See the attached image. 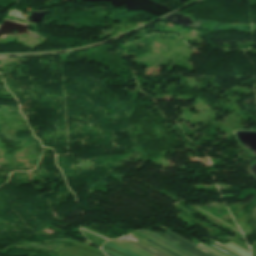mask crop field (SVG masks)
<instances>
[{
  "instance_id": "1",
  "label": "crop field",
  "mask_w": 256,
  "mask_h": 256,
  "mask_svg": "<svg viewBox=\"0 0 256 256\" xmlns=\"http://www.w3.org/2000/svg\"><path fill=\"white\" fill-rule=\"evenodd\" d=\"M130 235L131 237L125 241L127 243H130L154 256H172L170 254H168L167 252L147 243L146 241L134 236V235H131V234H128Z\"/></svg>"
},
{
  "instance_id": "2",
  "label": "crop field",
  "mask_w": 256,
  "mask_h": 256,
  "mask_svg": "<svg viewBox=\"0 0 256 256\" xmlns=\"http://www.w3.org/2000/svg\"><path fill=\"white\" fill-rule=\"evenodd\" d=\"M150 231H152L153 233H155V234H157V235H159V236H161V237L171 241L172 243H174V244H176V245H178V246L188 250L189 252H191V253H193V254H195L197 256H210V255L200 251L199 249L193 247L192 245L188 244L187 242L177 238L176 236H174V235H172V234H170L168 232H167L168 235H166L164 233L159 234V233H157V232H155L153 230H150Z\"/></svg>"
},
{
  "instance_id": "3",
  "label": "crop field",
  "mask_w": 256,
  "mask_h": 256,
  "mask_svg": "<svg viewBox=\"0 0 256 256\" xmlns=\"http://www.w3.org/2000/svg\"><path fill=\"white\" fill-rule=\"evenodd\" d=\"M105 246H108V247H111V248H113V249L119 250V251H121V252H124V253L130 255V256H139V255H137V254H135V253H133V252H131V251H129V250H127V249L121 247V246L112 244V243H110V242L105 243ZM102 249H103V248H102ZM103 250L105 251L106 254H108V255H110V256H120V255H117V254H115V253H113V252H110V251H108V250H106V249H103Z\"/></svg>"
},
{
  "instance_id": "4",
  "label": "crop field",
  "mask_w": 256,
  "mask_h": 256,
  "mask_svg": "<svg viewBox=\"0 0 256 256\" xmlns=\"http://www.w3.org/2000/svg\"><path fill=\"white\" fill-rule=\"evenodd\" d=\"M224 245H226V246H228V247H230V248L236 250L237 252H239V253H241V254H243V255H245V256H250V252H248V251H246V250L240 248L239 246H237V245H235V244H233V243H231V242L228 243V244H224Z\"/></svg>"
},
{
  "instance_id": "5",
  "label": "crop field",
  "mask_w": 256,
  "mask_h": 256,
  "mask_svg": "<svg viewBox=\"0 0 256 256\" xmlns=\"http://www.w3.org/2000/svg\"><path fill=\"white\" fill-rule=\"evenodd\" d=\"M197 245L203 247L204 249H206V250H208V251H210V252H212V253H214V254H216L218 256H225V255L221 254L222 252L219 253L220 251L218 252V251H216V250H214V249H212V248H210V247H208V246H206V245H204L202 243H198Z\"/></svg>"
},
{
  "instance_id": "6",
  "label": "crop field",
  "mask_w": 256,
  "mask_h": 256,
  "mask_svg": "<svg viewBox=\"0 0 256 256\" xmlns=\"http://www.w3.org/2000/svg\"><path fill=\"white\" fill-rule=\"evenodd\" d=\"M140 231L143 232V233H145V234H147V235H149V236H151V237H153V238H155V239H157V240H159L160 242H162V243L166 244L167 246H169V247L175 249L176 251L182 253L183 255L188 256L186 253L182 252L181 250H179V249H177V248H175V247H173V246L167 244L166 242H164V241H162V240H160V239H158V238H156V237H154V236H152V235L146 233L145 231H143V230H140ZM140 231H139V232H140Z\"/></svg>"
},
{
  "instance_id": "7",
  "label": "crop field",
  "mask_w": 256,
  "mask_h": 256,
  "mask_svg": "<svg viewBox=\"0 0 256 256\" xmlns=\"http://www.w3.org/2000/svg\"><path fill=\"white\" fill-rule=\"evenodd\" d=\"M166 231H168V232H170V233H172V234L176 235L177 237H179V238H181V239H183V240L187 241L188 243H190V244L194 245L195 247L199 248L200 250H202V251H204V252H206V253H208V254H210V255H212V256H216V255H214V254H212V253H210V252H208V251H206V250H204V249H202V248L198 247L197 245H195V244H193V243L189 242L188 240H186V239L182 238L181 236H179V235H177V234H175V233L171 232L170 230H168V229H167Z\"/></svg>"
},
{
  "instance_id": "8",
  "label": "crop field",
  "mask_w": 256,
  "mask_h": 256,
  "mask_svg": "<svg viewBox=\"0 0 256 256\" xmlns=\"http://www.w3.org/2000/svg\"><path fill=\"white\" fill-rule=\"evenodd\" d=\"M144 230L147 231V232H149V233H151L152 235H154V236H156V237H158V238H160V239H162V240L168 242L167 240H165V239H163V238H161V237H159V236L153 234L152 232H150V231H148V230H146V229H144ZM168 243L171 244V245H173V246H175V247H177V248H179V249H181V250H183V251L186 252L188 255L194 256V255L190 254L189 252L185 251L184 249H182V248H180V247H178V246H176V245H174V244H172V243H170V242H168ZM183 251H182V252H183Z\"/></svg>"
},
{
  "instance_id": "9",
  "label": "crop field",
  "mask_w": 256,
  "mask_h": 256,
  "mask_svg": "<svg viewBox=\"0 0 256 256\" xmlns=\"http://www.w3.org/2000/svg\"><path fill=\"white\" fill-rule=\"evenodd\" d=\"M144 240H146L147 242H149V243H151V244H153V245H155V246H157V247H159V248H161V249L167 251L168 253H170V254H172V255H174V256H178V255L174 254L173 252L167 250L166 248H164V247H162V246H160V245H158V244H156V243H154V242H152V241H150V240H148V239H146V238H145Z\"/></svg>"
},
{
  "instance_id": "10",
  "label": "crop field",
  "mask_w": 256,
  "mask_h": 256,
  "mask_svg": "<svg viewBox=\"0 0 256 256\" xmlns=\"http://www.w3.org/2000/svg\"><path fill=\"white\" fill-rule=\"evenodd\" d=\"M110 242H113V241H110ZM113 243L118 244V245H121V246H123V247H125V248H127V249H129V250H131V251H133V252H135V253L141 255V256H145V255H143V254H141V253H139V252H137V251H135V250H133V249H131V248H128V247H126V246H124V245H122V244H119V243H116V242H113Z\"/></svg>"
},
{
  "instance_id": "11",
  "label": "crop field",
  "mask_w": 256,
  "mask_h": 256,
  "mask_svg": "<svg viewBox=\"0 0 256 256\" xmlns=\"http://www.w3.org/2000/svg\"><path fill=\"white\" fill-rule=\"evenodd\" d=\"M215 243H217V244L221 245L222 247H224V248H226V249L230 250L231 252H233V253L237 254L238 256H243V255H241V254H239V253H237V252H235V251H233V250H231V249H229V248H227V247L223 246L222 244H220V243H218V242H216V241H215Z\"/></svg>"
},
{
  "instance_id": "12",
  "label": "crop field",
  "mask_w": 256,
  "mask_h": 256,
  "mask_svg": "<svg viewBox=\"0 0 256 256\" xmlns=\"http://www.w3.org/2000/svg\"><path fill=\"white\" fill-rule=\"evenodd\" d=\"M227 253V252H226ZM229 254V253H228ZM231 255V254H230ZM233 256V255H232Z\"/></svg>"
},
{
  "instance_id": "13",
  "label": "crop field",
  "mask_w": 256,
  "mask_h": 256,
  "mask_svg": "<svg viewBox=\"0 0 256 256\" xmlns=\"http://www.w3.org/2000/svg\"><path fill=\"white\" fill-rule=\"evenodd\" d=\"M108 256V255H107Z\"/></svg>"
}]
</instances>
